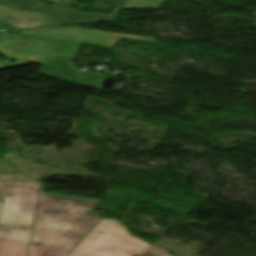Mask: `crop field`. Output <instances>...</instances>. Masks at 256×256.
<instances>
[{
    "mask_svg": "<svg viewBox=\"0 0 256 256\" xmlns=\"http://www.w3.org/2000/svg\"><path fill=\"white\" fill-rule=\"evenodd\" d=\"M150 246L132 236L117 220L105 219L101 220L68 255L135 256Z\"/></svg>",
    "mask_w": 256,
    "mask_h": 256,
    "instance_id": "obj_2",
    "label": "crop field"
},
{
    "mask_svg": "<svg viewBox=\"0 0 256 256\" xmlns=\"http://www.w3.org/2000/svg\"><path fill=\"white\" fill-rule=\"evenodd\" d=\"M0 23L19 29H32L62 24L43 13L4 1H0Z\"/></svg>",
    "mask_w": 256,
    "mask_h": 256,
    "instance_id": "obj_6",
    "label": "crop field"
},
{
    "mask_svg": "<svg viewBox=\"0 0 256 256\" xmlns=\"http://www.w3.org/2000/svg\"><path fill=\"white\" fill-rule=\"evenodd\" d=\"M21 33L109 47L115 46L122 40L155 44V39L152 38L120 35L66 27L27 30L22 31Z\"/></svg>",
    "mask_w": 256,
    "mask_h": 256,
    "instance_id": "obj_4",
    "label": "crop field"
},
{
    "mask_svg": "<svg viewBox=\"0 0 256 256\" xmlns=\"http://www.w3.org/2000/svg\"><path fill=\"white\" fill-rule=\"evenodd\" d=\"M5 1L27 6L30 8H35L67 24L110 21L115 19L119 10V9H115L113 13L110 14V16H105V15H100L95 13L85 14V13H79V12H73V11H66L63 9H55L50 5L37 3L38 0H5Z\"/></svg>",
    "mask_w": 256,
    "mask_h": 256,
    "instance_id": "obj_7",
    "label": "crop field"
},
{
    "mask_svg": "<svg viewBox=\"0 0 256 256\" xmlns=\"http://www.w3.org/2000/svg\"><path fill=\"white\" fill-rule=\"evenodd\" d=\"M139 256H169L164 251H162L160 248L152 245L148 250L143 252Z\"/></svg>",
    "mask_w": 256,
    "mask_h": 256,
    "instance_id": "obj_12",
    "label": "crop field"
},
{
    "mask_svg": "<svg viewBox=\"0 0 256 256\" xmlns=\"http://www.w3.org/2000/svg\"><path fill=\"white\" fill-rule=\"evenodd\" d=\"M9 60H16L15 64H10L8 61L0 62V69L14 66L27 65L31 63H42L46 54L32 52H7L2 53Z\"/></svg>",
    "mask_w": 256,
    "mask_h": 256,
    "instance_id": "obj_10",
    "label": "crop field"
},
{
    "mask_svg": "<svg viewBox=\"0 0 256 256\" xmlns=\"http://www.w3.org/2000/svg\"><path fill=\"white\" fill-rule=\"evenodd\" d=\"M31 229L6 227L0 256H25Z\"/></svg>",
    "mask_w": 256,
    "mask_h": 256,
    "instance_id": "obj_9",
    "label": "crop field"
},
{
    "mask_svg": "<svg viewBox=\"0 0 256 256\" xmlns=\"http://www.w3.org/2000/svg\"><path fill=\"white\" fill-rule=\"evenodd\" d=\"M100 1L114 3L117 8H120L122 3L124 2V0H100ZM195 1L201 2V0H195Z\"/></svg>",
    "mask_w": 256,
    "mask_h": 256,
    "instance_id": "obj_13",
    "label": "crop field"
},
{
    "mask_svg": "<svg viewBox=\"0 0 256 256\" xmlns=\"http://www.w3.org/2000/svg\"><path fill=\"white\" fill-rule=\"evenodd\" d=\"M80 44L53 40L48 52L75 56Z\"/></svg>",
    "mask_w": 256,
    "mask_h": 256,
    "instance_id": "obj_11",
    "label": "crop field"
},
{
    "mask_svg": "<svg viewBox=\"0 0 256 256\" xmlns=\"http://www.w3.org/2000/svg\"><path fill=\"white\" fill-rule=\"evenodd\" d=\"M40 185L0 180V196H5L0 225L31 228Z\"/></svg>",
    "mask_w": 256,
    "mask_h": 256,
    "instance_id": "obj_3",
    "label": "crop field"
},
{
    "mask_svg": "<svg viewBox=\"0 0 256 256\" xmlns=\"http://www.w3.org/2000/svg\"><path fill=\"white\" fill-rule=\"evenodd\" d=\"M1 28H3V30L8 31V32H13V33H18L19 30H15V29H11L8 27H4V26H0Z\"/></svg>",
    "mask_w": 256,
    "mask_h": 256,
    "instance_id": "obj_14",
    "label": "crop field"
},
{
    "mask_svg": "<svg viewBox=\"0 0 256 256\" xmlns=\"http://www.w3.org/2000/svg\"><path fill=\"white\" fill-rule=\"evenodd\" d=\"M1 202H2V198H0V208H1ZM2 230H3V227L0 226V241L2 236Z\"/></svg>",
    "mask_w": 256,
    "mask_h": 256,
    "instance_id": "obj_15",
    "label": "crop field"
},
{
    "mask_svg": "<svg viewBox=\"0 0 256 256\" xmlns=\"http://www.w3.org/2000/svg\"><path fill=\"white\" fill-rule=\"evenodd\" d=\"M74 58L47 54L40 73L71 83L100 89L103 75L76 70L72 61Z\"/></svg>",
    "mask_w": 256,
    "mask_h": 256,
    "instance_id": "obj_5",
    "label": "crop field"
},
{
    "mask_svg": "<svg viewBox=\"0 0 256 256\" xmlns=\"http://www.w3.org/2000/svg\"><path fill=\"white\" fill-rule=\"evenodd\" d=\"M51 41L14 34H0V52L7 50L46 52Z\"/></svg>",
    "mask_w": 256,
    "mask_h": 256,
    "instance_id": "obj_8",
    "label": "crop field"
},
{
    "mask_svg": "<svg viewBox=\"0 0 256 256\" xmlns=\"http://www.w3.org/2000/svg\"><path fill=\"white\" fill-rule=\"evenodd\" d=\"M96 202L39 192L26 256H66L100 221Z\"/></svg>",
    "mask_w": 256,
    "mask_h": 256,
    "instance_id": "obj_1",
    "label": "crop field"
}]
</instances>
